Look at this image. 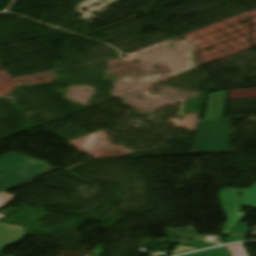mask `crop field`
Masks as SVG:
<instances>
[{
    "mask_svg": "<svg viewBox=\"0 0 256 256\" xmlns=\"http://www.w3.org/2000/svg\"><path fill=\"white\" fill-rule=\"evenodd\" d=\"M49 165L11 153L0 157V192L22 185L51 169Z\"/></svg>",
    "mask_w": 256,
    "mask_h": 256,
    "instance_id": "1",
    "label": "crop field"
},
{
    "mask_svg": "<svg viewBox=\"0 0 256 256\" xmlns=\"http://www.w3.org/2000/svg\"><path fill=\"white\" fill-rule=\"evenodd\" d=\"M225 93L226 91L209 94L206 120L198 123L193 154L215 153V119L222 118Z\"/></svg>",
    "mask_w": 256,
    "mask_h": 256,
    "instance_id": "2",
    "label": "crop field"
},
{
    "mask_svg": "<svg viewBox=\"0 0 256 256\" xmlns=\"http://www.w3.org/2000/svg\"><path fill=\"white\" fill-rule=\"evenodd\" d=\"M238 194V189H223L220 191L223 207L229 217L221 232L222 235L229 234L246 215L241 213Z\"/></svg>",
    "mask_w": 256,
    "mask_h": 256,
    "instance_id": "3",
    "label": "crop field"
},
{
    "mask_svg": "<svg viewBox=\"0 0 256 256\" xmlns=\"http://www.w3.org/2000/svg\"><path fill=\"white\" fill-rule=\"evenodd\" d=\"M25 236L24 227L0 223V255L7 245L18 243Z\"/></svg>",
    "mask_w": 256,
    "mask_h": 256,
    "instance_id": "4",
    "label": "crop field"
},
{
    "mask_svg": "<svg viewBox=\"0 0 256 256\" xmlns=\"http://www.w3.org/2000/svg\"><path fill=\"white\" fill-rule=\"evenodd\" d=\"M231 119L216 120L217 124V153L229 152V135H232Z\"/></svg>",
    "mask_w": 256,
    "mask_h": 256,
    "instance_id": "5",
    "label": "crop field"
},
{
    "mask_svg": "<svg viewBox=\"0 0 256 256\" xmlns=\"http://www.w3.org/2000/svg\"><path fill=\"white\" fill-rule=\"evenodd\" d=\"M166 235L171 238V240L167 241V243L173 245L175 242L182 243L188 239H191L197 236V233L194 227L179 228V229L169 228L166 230ZM176 235L179 236L180 240L174 237Z\"/></svg>",
    "mask_w": 256,
    "mask_h": 256,
    "instance_id": "6",
    "label": "crop field"
},
{
    "mask_svg": "<svg viewBox=\"0 0 256 256\" xmlns=\"http://www.w3.org/2000/svg\"><path fill=\"white\" fill-rule=\"evenodd\" d=\"M241 201L243 207L256 208V183L246 190H242Z\"/></svg>",
    "mask_w": 256,
    "mask_h": 256,
    "instance_id": "7",
    "label": "crop field"
},
{
    "mask_svg": "<svg viewBox=\"0 0 256 256\" xmlns=\"http://www.w3.org/2000/svg\"><path fill=\"white\" fill-rule=\"evenodd\" d=\"M248 224H240L228 237L224 238L225 243L245 240L251 228Z\"/></svg>",
    "mask_w": 256,
    "mask_h": 256,
    "instance_id": "8",
    "label": "crop field"
},
{
    "mask_svg": "<svg viewBox=\"0 0 256 256\" xmlns=\"http://www.w3.org/2000/svg\"><path fill=\"white\" fill-rule=\"evenodd\" d=\"M188 256H230V254L228 253L226 247H223V248H218V249L197 253V254H192Z\"/></svg>",
    "mask_w": 256,
    "mask_h": 256,
    "instance_id": "9",
    "label": "crop field"
},
{
    "mask_svg": "<svg viewBox=\"0 0 256 256\" xmlns=\"http://www.w3.org/2000/svg\"><path fill=\"white\" fill-rule=\"evenodd\" d=\"M228 249L233 256H248L243 244L229 246Z\"/></svg>",
    "mask_w": 256,
    "mask_h": 256,
    "instance_id": "10",
    "label": "crop field"
},
{
    "mask_svg": "<svg viewBox=\"0 0 256 256\" xmlns=\"http://www.w3.org/2000/svg\"><path fill=\"white\" fill-rule=\"evenodd\" d=\"M15 195H12L10 193L4 192L0 194V209L5 207L13 198ZM6 216L0 214V219L4 218Z\"/></svg>",
    "mask_w": 256,
    "mask_h": 256,
    "instance_id": "11",
    "label": "crop field"
},
{
    "mask_svg": "<svg viewBox=\"0 0 256 256\" xmlns=\"http://www.w3.org/2000/svg\"><path fill=\"white\" fill-rule=\"evenodd\" d=\"M193 249H197V248H191V247L177 245L173 254H177V253H181V252H185V251H189V250H193Z\"/></svg>",
    "mask_w": 256,
    "mask_h": 256,
    "instance_id": "12",
    "label": "crop field"
},
{
    "mask_svg": "<svg viewBox=\"0 0 256 256\" xmlns=\"http://www.w3.org/2000/svg\"><path fill=\"white\" fill-rule=\"evenodd\" d=\"M94 256H103V247L102 246H98V250L93 252Z\"/></svg>",
    "mask_w": 256,
    "mask_h": 256,
    "instance_id": "13",
    "label": "crop field"
},
{
    "mask_svg": "<svg viewBox=\"0 0 256 256\" xmlns=\"http://www.w3.org/2000/svg\"><path fill=\"white\" fill-rule=\"evenodd\" d=\"M166 247H168L167 245H163V246H161V247H159V248H157V249H155V250H153V251H151L152 253H155V252H157V251H159V250H161V249H163V248H166Z\"/></svg>",
    "mask_w": 256,
    "mask_h": 256,
    "instance_id": "14",
    "label": "crop field"
},
{
    "mask_svg": "<svg viewBox=\"0 0 256 256\" xmlns=\"http://www.w3.org/2000/svg\"><path fill=\"white\" fill-rule=\"evenodd\" d=\"M0 68H1V66H0Z\"/></svg>",
    "mask_w": 256,
    "mask_h": 256,
    "instance_id": "15",
    "label": "crop field"
}]
</instances>
